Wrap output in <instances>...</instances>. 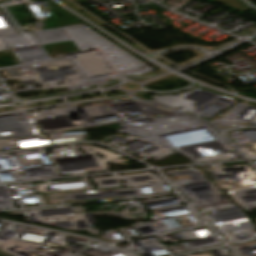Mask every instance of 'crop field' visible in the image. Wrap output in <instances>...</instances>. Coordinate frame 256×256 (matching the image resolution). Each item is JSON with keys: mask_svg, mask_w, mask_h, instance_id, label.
I'll use <instances>...</instances> for the list:
<instances>
[{"mask_svg": "<svg viewBox=\"0 0 256 256\" xmlns=\"http://www.w3.org/2000/svg\"><path fill=\"white\" fill-rule=\"evenodd\" d=\"M217 3L223 4V5H227L235 10H239V11H246L247 9H249L248 7H246L242 2H240L239 0H214Z\"/></svg>", "mask_w": 256, "mask_h": 256, "instance_id": "8a807250", "label": "crop field"}]
</instances>
